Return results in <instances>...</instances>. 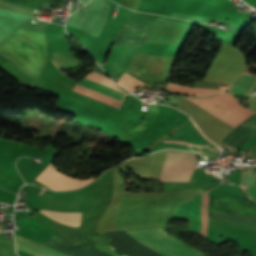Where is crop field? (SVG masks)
I'll use <instances>...</instances> for the list:
<instances>
[{
	"label": "crop field",
	"mask_w": 256,
	"mask_h": 256,
	"mask_svg": "<svg viewBox=\"0 0 256 256\" xmlns=\"http://www.w3.org/2000/svg\"><path fill=\"white\" fill-rule=\"evenodd\" d=\"M253 85L252 76L245 70L225 91L233 95H242Z\"/></svg>",
	"instance_id": "11"
},
{
	"label": "crop field",
	"mask_w": 256,
	"mask_h": 256,
	"mask_svg": "<svg viewBox=\"0 0 256 256\" xmlns=\"http://www.w3.org/2000/svg\"><path fill=\"white\" fill-rule=\"evenodd\" d=\"M208 191L178 205L175 217L190 220V229L206 236Z\"/></svg>",
	"instance_id": "6"
},
{
	"label": "crop field",
	"mask_w": 256,
	"mask_h": 256,
	"mask_svg": "<svg viewBox=\"0 0 256 256\" xmlns=\"http://www.w3.org/2000/svg\"><path fill=\"white\" fill-rule=\"evenodd\" d=\"M0 256H16L14 243L0 238Z\"/></svg>",
	"instance_id": "15"
},
{
	"label": "crop field",
	"mask_w": 256,
	"mask_h": 256,
	"mask_svg": "<svg viewBox=\"0 0 256 256\" xmlns=\"http://www.w3.org/2000/svg\"><path fill=\"white\" fill-rule=\"evenodd\" d=\"M177 57L156 56L137 52L125 73L154 87L155 82H167Z\"/></svg>",
	"instance_id": "3"
},
{
	"label": "crop field",
	"mask_w": 256,
	"mask_h": 256,
	"mask_svg": "<svg viewBox=\"0 0 256 256\" xmlns=\"http://www.w3.org/2000/svg\"><path fill=\"white\" fill-rule=\"evenodd\" d=\"M251 199V198H250Z\"/></svg>",
	"instance_id": "20"
},
{
	"label": "crop field",
	"mask_w": 256,
	"mask_h": 256,
	"mask_svg": "<svg viewBox=\"0 0 256 256\" xmlns=\"http://www.w3.org/2000/svg\"><path fill=\"white\" fill-rule=\"evenodd\" d=\"M54 165L50 163V165L41 173V175L36 178L41 182L45 183L52 189H73L83 186L90 182L92 179L89 180H79L72 177L64 176L57 171Z\"/></svg>",
	"instance_id": "8"
},
{
	"label": "crop field",
	"mask_w": 256,
	"mask_h": 256,
	"mask_svg": "<svg viewBox=\"0 0 256 256\" xmlns=\"http://www.w3.org/2000/svg\"><path fill=\"white\" fill-rule=\"evenodd\" d=\"M44 188L41 190L40 194L43 192ZM48 217L57 220L61 223L77 227L80 225L81 213L74 212H61V211H49L41 210Z\"/></svg>",
	"instance_id": "9"
},
{
	"label": "crop field",
	"mask_w": 256,
	"mask_h": 256,
	"mask_svg": "<svg viewBox=\"0 0 256 256\" xmlns=\"http://www.w3.org/2000/svg\"><path fill=\"white\" fill-rule=\"evenodd\" d=\"M247 194L256 201V184L247 186Z\"/></svg>",
	"instance_id": "18"
},
{
	"label": "crop field",
	"mask_w": 256,
	"mask_h": 256,
	"mask_svg": "<svg viewBox=\"0 0 256 256\" xmlns=\"http://www.w3.org/2000/svg\"><path fill=\"white\" fill-rule=\"evenodd\" d=\"M140 45H127L125 51L123 52L122 56L120 57L115 69L109 74L111 75L116 81L121 76V74L124 72L125 68L129 64L130 60L134 56V54L137 52Z\"/></svg>",
	"instance_id": "10"
},
{
	"label": "crop field",
	"mask_w": 256,
	"mask_h": 256,
	"mask_svg": "<svg viewBox=\"0 0 256 256\" xmlns=\"http://www.w3.org/2000/svg\"><path fill=\"white\" fill-rule=\"evenodd\" d=\"M198 155L168 151L159 179L160 181H189Z\"/></svg>",
	"instance_id": "5"
},
{
	"label": "crop field",
	"mask_w": 256,
	"mask_h": 256,
	"mask_svg": "<svg viewBox=\"0 0 256 256\" xmlns=\"http://www.w3.org/2000/svg\"><path fill=\"white\" fill-rule=\"evenodd\" d=\"M52 60L61 68L68 69L79 66V62L71 55L70 52H53ZM52 61V62H53ZM53 62V63H54ZM54 63V64H55ZM55 66L60 69L57 65Z\"/></svg>",
	"instance_id": "13"
},
{
	"label": "crop field",
	"mask_w": 256,
	"mask_h": 256,
	"mask_svg": "<svg viewBox=\"0 0 256 256\" xmlns=\"http://www.w3.org/2000/svg\"><path fill=\"white\" fill-rule=\"evenodd\" d=\"M250 154L256 158V146L251 150Z\"/></svg>",
	"instance_id": "19"
},
{
	"label": "crop field",
	"mask_w": 256,
	"mask_h": 256,
	"mask_svg": "<svg viewBox=\"0 0 256 256\" xmlns=\"http://www.w3.org/2000/svg\"><path fill=\"white\" fill-rule=\"evenodd\" d=\"M193 86L201 87V88H217L223 90L224 88L228 87L225 84H216L204 81H194Z\"/></svg>",
	"instance_id": "16"
},
{
	"label": "crop field",
	"mask_w": 256,
	"mask_h": 256,
	"mask_svg": "<svg viewBox=\"0 0 256 256\" xmlns=\"http://www.w3.org/2000/svg\"><path fill=\"white\" fill-rule=\"evenodd\" d=\"M159 19V18H158ZM155 19L144 42L177 44L184 25Z\"/></svg>",
	"instance_id": "7"
},
{
	"label": "crop field",
	"mask_w": 256,
	"mask_h": 256,
	"mask_svg": "<svg viewBox=\"0 0 256 256\" xmlns=\"http://www.w3.org/2000/svg\"><path fill=\"white\" fill-rule=\"evenodd\" d=\"M0 50L15 57L32 74L42 72L46 61V37L43 33L17 29Z\"/></svg>",
	"instance_id": "2"
},
{
	"label": "crop field",
	"mask_w": 256,
	"mask_h": 256,
	"mask_svg": "<svg viewBox=\"0 0 256 256\" xmlns=\"http://www.w3.org/2000/svg\"><path fill=\"white\" fill-rule=\"evenodd\" d=\"M186 98V97H185ZM222 118L233 127H237L254 113L240 105L236 99L226 93L202 98H187ZM221 119V120H222Z\"/></svg>",
	"instance_id": "4"
},
{
	"label": "crop field",
	"mask_w": 256,
	"mask_h": 256,
	"mask_svg": "<svg viewBox=\"0 0 256 256\" xmlns=\"http://www.w3.org/2000/svg\"><path fill=\"white\" fill-rule=\"evenodd\" d=\"M120 79V78H119ZM118 84L122 87H124L125 89L131 91V92H134V89L136 86H146V87H149L147 86L146 84L136 80L135 78L127 75L124 73V75L121 77V79L118 81ZM151 88V87H150Z\"/></svg>",
	"instance_id": "14"
},
{
	"label": "crop field",
	"mask_w": 256,
	"mask_h": 256,
	"mask_svg": "<svg viewBox=\"0 0 256 256\" xmlns=\"http://www.w3.org/2000/svg\"><path fill=\"white\" fill-rule=\"evenodd\" d=\"M126 232H128L132 237H134L137 241H139L143 245L149 247L150 249L156 251L157 253L163 256L203 255L202 253L182 243L181 241L176 239L174 236L167 234L161 228L130 230ZM14 239H15V244L25 247L27 249L33 250L35 252L41 253L46 256H67L16 235H14ZM17 245H16L17 250L28 252L34 256H43L41 254L19 247Z\"/></svg>",
	"instance_id": "1"
},
{
	"label": "crop field",
	"mask_w": 256,
	"mask_h": 256,
	"mask_svg": "<svg viewBox=\"0 0 256 256\" xmlns=\"http://www.w3.org/2000/svg\"><path fill=\"white\" fill-rule=\"evenodd\" d=\"M79 84L84 85L86 87H89V88H91L93 90H96L98 92H101L103 94H106L108 96H111V97H113L115 99H118L120 101L122 100V98L125 95V93H123V92H120V91H117L115 89L109 88L107 86H104L102 84L96 83V82L91 81V80H88L86 78L81 80L79 82Z\"/></svg>",
	"instance_id": "12"
},
{
	"label": "crop field",
	"mask_w": 256,
	"mask_h": 256,
	"mask_svg": "<svg viewBox=\"0 0 256 256\" xmlns=\"http://www.w3.org/2000/svg\"><path fill=\"white\" fill-rule=\"evenodd\" d=\"M141 0H122L123 6L132 9V10H137Z\"/></svg>",
	"instance_id": "17"
}]
</instances>
